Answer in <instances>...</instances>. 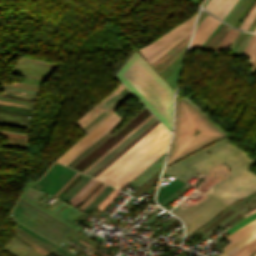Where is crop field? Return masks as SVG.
<instances>
[{
	"mask_svg": "<svg viewBox=\"0 0 256 256\" xmlns=\"http://www.w3.org/2000/svg\"><path fill=\"white\" fill-rule=\"evenodd\" d=\"M116 77L171 130L172 89L136 52Z\"/></svg>",
	"mask_w": 256,
	"mask_h": 256,
	"instance_id": "1",
	"label": "crop field"
},
{
	"mask_svg": "<svg viewBox=\"0 0 256 256\" xmlns=\"http://www.w3.org/2000/svg\"><path fill=\"white\" fill-rule=\"evenodd\" d=\"M224 136L207 116L184 99L176 103L175 132L166 165Z\"/></svg>",
	"mask_w": 256,
	"mask_h": 256,
	"instance_id": "2",
	"label": "crop field"
},
{
	"mask_svg": "<svg viewBox=\"0 0 256 256\" xmlns=\"http://www.w3.org/2000/svg\"><path fill=\"white\" fill-rule=\"evenodd\" d=\"M168 133L159 123L95 178L108 184Z\"/></svg>",
	"mask_w": 256,
	"mask_h": 256,
	"instance_id": "3",
	"label": "crop field"
},
{
	"mask_svg": "<svg viewBox=\"0 0 256 256\" xmlns=\"http://www.w3.org/2000/svg\"><path fill=\"white\" fill-rule=\"evenodd\" d=\"M128 92L129 91L121 84L105 99H103L95 108L91 109L88 114H86L79 122H77V124L84 129ZM131 95L132 94L130 92L126 94L122 99H120L116 104H114L110 109L103 113L99 118H97L84 130L89 132L103 119H105L109 114H111L115 109H117L121 104H123Z\"/></svg>",
	"mask_w": 256,
	"mask_h": 256,
	"instance_id": "4",
	"label": "crop field"
},
{
	"mask_svg": "<svg viewBox=\"0 0 256 256\" xmlns=\"http://www.w3.org/2000/svg\"><path fill=\"white\" fill-rule=\"evenodd\" d=\"M150 114L151 113L144 107L113 136L110 135L106 138L100 145H98L92 152L74 166L73 169L82 172Z\"/></svg>",
	"mask_w": 256,
	"mask_h": 256,
	"instance_id": "5",
	"label": "crop field"
},
{
	"mask_svg": "<svg viewBox=\"0 0 256 256\" xmlns=\"http://www.w3.org/2000/svg\"><path fill=\"white\" fill-rule=\"evenodd\" d=\"M169 136H170V133L167 136H165L161 141H159L155 146H153L149 151H147L143 156H141L130 167H128L124 172H122L118 177H116L112 182H110L109 185H112L118 188L125 181H127L128 179L132 180L135 176H137L140 172H142L154 160H156L164 152H166ZM130 180L125 182L118 189L120 190L128 182H130Z\"/></svg>",
	"mask_w": 256,
	"mask_h": 256,
	"instance_id": "6",
	"label": "crop field"
},
{
	"mask_svg": "<svg viewBox=\"0 0 256 256\" xmlns=\"http://www.w3.org/2000/svg\"><path fill=\"white\" fill-rule=\"evenodd\" d=\"M121 119L122 117L118 116L116 113L113 112L111 115H109L93 130H91L87 136H85L81 141H79L75 146H73L57 161L67 165L73 159H75L78 155H80L85 149H87L92 143H94L97 139H99L103 134H105L110 128H112Z\"/></svg>",
	"mask_w": 256,
	"mask_h": 256,
	"instance_id": "7",
	"label": "crop field"
},
{
	"mask_svg": "<svg viewBox=\"0 0 256 256\" xmlns=\"http://www.w3.org/2000/svg\"><path fill=\"white\" fill-rule=\"evenodd\" d=\"M75 173L63 165L54 164L32 188L54 195Z\"/></svg>",
	"mask_w": 256,
	"mask_h": 256,
	"instance_id": "8",
	"label": "crop field"
},
{
	"mask_svg": "<svg viewBox=\"0 0 256 256\" xmlns=\"http://www.w3.org/2000/svg\"><path fill=\"white\" fill-rule=\"evenodd\" d=\"M196 14L187 19L186 21H184L183 23H181L180 25H178L177 27L173 28L160 38L154 40L152 43L138 50L141 52L145 59H148L157 51H159L162 47H164L166 44L172 41L175 37H177L180 33L186 30L189 26H191L194 23Z\"/></svg>",
	"mask_w": 256,
	"mask_h": 256,
	"instance_id": "9",
	"label": "crop field"
},
{
	"mask_svg": "<svg viewBox=\"0 0 256 256\" xmlns=\"http://www.w3.org/2000/svg\"><path fill=\"white\" fill-rule=\"evenodd\" d=\"M153 115L151 114L149 117H147L143 122H141L135 129H133L129 134H127L122 140H120L115 146H117L121 141H123L127 136H129L132 132H134L138 127H140L144 122H146L150 117ZM156 118L153 116L150 118L146 123H144L140 128H138L134 133H132L128 138H126L123 142H121L117 147L113 146L109 151H111L114 147V149L109 152L107 151L103 156H105L108 152V154L103 157L101 156L97 161H95L91 166H89L83 173H85L88 169H90L96 162H98L102 157V159L96 163L90 170L86 172V174L90 175L94 170H96L102 163H104L108 158H110L114 153H116L121 147H123L128 141H130L135 135H137L141 130H143L147 125H149L153 120Z\"/></svg>",
	"mask_w": 256,
	"mask_h": 256,
	"instance_id": "10",
	"label": "crop field"
},
{
	"mask_svg": "<svg viewBox=\"0 0 256 256\" xmlns=\"http://www.w3.org/2000/svg\"><path fill=\"white\" fill-rule=\"evenodd\" d=\"M219 22V20L208 15L196 27L189 50L199 48V46L204 42V40L209 36V34L213 31V29L218 25Z\"/></svg>",
	"mask_w": 256,
	"mask_h": 256,
	"instance_id": "11",
	"label": "crop field"
},
{
	"mask_svg": "<svg viewBox=\"0 0 256 256\" xmlns=\"http://www.w3.org/2000/svg\"><path fill=\"white\" fill-rule=\"evenodd\" d=\"M189 36L176 44L172 49L152 64L153 68L159 74L185 50Z\"/></svg>",
	"mask_w": 256,
	"mask_h": 256,
	"instance_id": "12",
	"label": "crop field"
},
{
	"mask_svg": "<svg viewBox=\"0 0 256 256\" xmlns=\"http://www.w3.org/2000/svg\"><path fill=\"white\" fill-rule=\"evenodd\" d=\"M159 122L156 119L149 126H147L143 131H141L137 136H135L129 143H127L122 149H120L115 155H113L108 161H106L101 167H99L91 176L95 177L103 169H105L110 163H112L116 158H118L123 152H125L129 147H131L136 141H138L142 136H144L149 130H151Z\"/></svg>",
	"mask_w": 256,
	"mask_h": 256,
	"instance_id": "13",
	"label": "crop field"
},
{
	"mask_svg": "<svg viewBox=\"0 0 256 256\" xmlns=\"http://www.w3.org/2000/svg\"><path fill=\"white\" fill-rule=\"evenodd\" d=\"M185 184L186 183L175 178L171 182L163 186L161 189H159L157 194V201L159 202V204Z\"/></svg>",
	"mask_w": 256,
	"mask_h": 256,
	"instance_id": "14",
	"label": "crop field"
},
{
	"mask_svg": "<svg viewBox=\"0 0 256 256\" xmlns=\"http://www.w3.org/2000/svg\"><path fill=\"white\" fill-rule=\"evenodd\" d=\"M101 182L91 178L84 187L68 201L73 205H78L84 198H86Z\"/></svg>",
	"mask_w": 256,
	"mask_h": 256,
	"instance_id": "15",
	"label": "crop field"
},
{
	"mask_svg": "<svg viewBox=\"0 0 256 256\" xmlns=\"http://www.w3.org/2000/svg\"><path fill=\"white\" fill-rule=\"evenodd\" d=\"M0 133L10 139L9 143L2 142L1 144L26 148L25 147L26 135L15 134V133L6 132V131H0Z\"/></svg>",
	"mask_w": 256,
	"mask_h": 256,
	"instance_id": "16",
	"label": "crop field"
},
{
	"mask_svg": "<svg viewBox=\"0 0 256 256\" xmlns=\"http://www.w3.org/2000/svg\"><path fill=\"white\" fill-rule=\"evenodd\" d=\"M193 25L189 27L186 31H184L182 34H180L177 38H175L172 42H170L168 45H166L164 48H162L159 52H157L155 55H153L151 58L148 59V62L151 64L156 59L161 57L164 53H166L170 48H172L176 43H178L181 39H183L185 36H187Z\"/></svg>",
	"mask_w": 256,
	"mask_h": 256,
	"instance_id": "17",
	"label": "crop field"
},
{
	"mask_svg": "<svg viewBox=\"0 0 256 256\" xmlns=\"http://www.w3.org/2000/svg\"><path fill=\"white\" fill-rule=\"evenodd\" d=\"M31 111H32V109H29V108H23V107L0 104V112H2V113H8V114H15V115L30 117L31 116Z\"/></svg>",
	"mask_w": 256,
	"mask_h": 256,
	"instance_id": "18",
	"label": "crop field"
},
{
	"mask_svg": "<svg viewBox=\"0 0 256 256\" xmlns=\"http://www.w3.org/2000/svg\"><path fill=\"white\" fill-rule=\"evenodd\" d=\"M236 1L237 0H222L212 14L223 19Z\"/></svg>",
	"mask_w": 256,
	"mask_h": 256,
	"instance_id": "19",
	"label": "crop field"
},
{
	"mask_svg": "<svg viewBox=\"0 0 256 256\" xmlns=\"http://www.w3.org/2000/svg\"><path fill=\"white\" fill-rule=\"evenodd\" d=\"M254 228H256V220L252 221L251 223L247 224L246 226L242 227L241 229L237 230L236 232L232 233L227 237L230 241H237L250 231H252Z\"/></svg>",
	"mask_w": 256,
	"mask_h": 256,
	"instance_id": "20",
	"label": "crop field"
},
{
	"mask_svg": "<svg viewBox=\"0 0 256 256\" xmlns=\"http://www.w3.org/2000/svg\"><path fill=\"white\" fill-rule=\"evenodd\" d=\"M244 55L250 58L249 65L252 66L255 58H256V34H253L251 40L249 41L247 47L245 48Z\"/></svg>",
	"mask_w": 256,
	"mask_h": 256,
	"instance_id": "21",
	"label": "crop field"
},
{
	"mask_svg": "<svg viewBox=\"0 0 256 256\" xmlns=\"http://www.w3.org/2000/svg\"><path fill=\"white\" fill-rule=\"evenodd\" d=\"M237 32L238 31L230 28L228 33L225 35V37L223 38L221 43L216 48L215 52L218 53L222 48H225L227 45H229L231 43V41L233 40V38L235 37V35L237 34Z\"/></svg>",
	"mask_w": 256,
	"mask_h": 256,
	"instance_id": "22",
	"label": "crop field"
},
{
	"mask_svg": "<svg viewBox=\"0 0 256 256\" xmlns=\"http://www.w3.org/2000/svg\"><path fill=\"white\" fill-rule=\"evenodd\" d=\"M121 192L118 190H113L98 206L97 209L99 210H103L107 205H109L118 194H120Z\"/></svg>",
	"mask_w": 256,
	"mask_h": 256,
	"instance_id": "23",
	"label": "crop field"
},
{
	"mask_svg": "<svg viewBox=\"0 0 256 256\" xmlns=\"http://www.w3.org/2000/svg\"><path fill=\"white\" fill-rule=\"evenodd\" d=\"M183 60L179 63V65L170 73V75L165 79L169 84L172 85V87H175L176 80L181 68Z\"/></svg>",
	"mask_w": 256,
	"mask_h": 256,
	"instance_id": "24",
	"label": "crop field"
},
{
	"mask_svg": "<svg viewBox=\"0 0 256 256\" xmlns=\"http://www.w3.org/2000/svg\"><path fill=\"white\" fill-rule=\"evenodd\" d=\"M256 16V4L253 7V9L250 11V13L248 14V16L245 18V20L243 21V23L240 25L239 28L241 29H245L247 30V28L249 27V25L251 24V22L253 21V19Z\"/></svg>",
	"mask_w": 256,
	"mask_h": 256,
	"instance_id": "25",
	"label": "crop field"
},
{
	"mask_svg": "<svg viewBox=\"0 0 256 256\" xmlns=\"http://www.w3.org/2000/svg\"><path fill=\"white\" fill-rule=\"evenodd\" d=\"M256 218V213L252 214L250 216H248L247 218H245L244 220H242L241 222H239L238 224L234 225L233 227H231L227 233L231 234L232 232L236 231L237 229L241 228L242 226L246 225L247 223L251 222L252 220H254Z\"/></svg>",
	"mask_w": 256,
	"mask_h": 256,
	"instance_id": "26",
	"label": "crop field"
},
{
	"mask_svg": "<svg viewBox=\"0 0 256 256\" xmlns=\"http://www.w3.org/2000/svg\"><path fill=\"white\" fill-rule=\"evenodd\" d=\"M226 25L222 23V25L218 28V30L215 32V34L211 37V39L208 41V43L205 45L203 49L208 50L212 46V44L215 42L217 37L220 35L222 30L225 28Z\"/></svg>",
	"mask_w": 256,
	"mask_h": 256,
	"instance_id": "27",
	"label": "crop field"
},
{
	"mask_svg": "<svg viewBox=\"0 0 256 256\" xmlns=\"http://www.w3.org/2000/svg\"><path fill=\"white\" fill-rule=\"evenodd\" d=\"M2 85L24 88V89H30V90H36V91H38L39 87H40V86H37V85H30V84H23V83H12V85L2 83Z\"/></svg>",
	"mask_w": 256,
	"mask_h": 256,
	"instance_id": "28",
	"label": "crop field"
},
{
	"mask_svg": "<svg viewBox=\"0 0 256 256\" xmlns=\"http://www.w3.org/2000/svg\"><path fill=\"white\" fill-rule=\"evenodd\" d=\"M82 177L83 175L79 174L57 197L61 199Z\"/></svg>",
	"mask_w": 256,
	"mask_h": 256,
	"instance_id": "29",
	"label": "crop field"
},
{
	"mask_svg": "<svg viewBox=\"0 0 256 256\" xmlns=\"http://www.w3.org/2000/svg\"><path fill=\"white\" fill-rule=\"evenodd\" d=\"M123 119L119 122L121 123ZM119 123H117L110 131H108L104 136H102L98 141H96L91 147H89L85 152H83L79 157H77L75 160H73L70 164L67 166L69 167L72 165L75 161H77L80 157H82L85 153H87L92 147H94L98 142H100L105 136H107Z\"/></svg>",
	"mask_w": 256,
	"mask_h": 256,
	"instance_id": "30",
	"label": "crop field"
},
{
	"mask_svg": "<svg viewBox=\"0 0 256 256\" xmlns=\"http://www.w3.org/2000/svg\"><path fill=\"white\" fill-rule=\"evenodd\" d=\"M19 226H21V229H23V230L29 232L30 234L36 236L37 238H39L40 240L44 241V242L47 243L48 245H50V246H52V247H54V248L57 246V245L53 244L52 242L46 240L45 238L41 237L40 235L34 233L33 231L29 230L28 228H26V227H24V226H22L21 224L18 223V227H19Z\"/></svg>",
	"mask_w": 256,
	"mask_h": 256,
	"instance_id": "31",
	"label": "crop field"
},
{
	"mask_svg": "<svg viewBox=\"0 0 256 256\" xmlns=\"http://www.w3.org/2000/svg\"><path fill=\"white\" fill-rule=\"evenodd\" d=\"M220 2L221 0H209L203 8L212 13Z\"/></svg>",
	"mask_w": 256,
	"mask_h": 256,
	"instance_id": "32",
	"label": "crop field"
},
{
	"mask_svg": "<svg viewBox=\"0 0 256 256\" xmlns=\"http://www.w3.org/2000/svg\"><path fill=\"white\" fill-rule=\"evenodd\" d=\"M0 125L24 128V129H26V127H27V125H24V124H18V123L6 122V121H0Z\"/></svg>",
	"mask_w": 256,
	"mask_h": 256,
	"instance_id": "33",
	"label": "crop field"
},
{
	"mask_svg": "<svg viewBox=\"0 0 256 256\" xmlns=\"http://www.w3.org/2000/svg\"><path fill=\"white\" fill-rule=\"evenodd\" d=\"M256 243V239H254L252 242H250L249 244H247L246 246H244L243 248H241L237 253H235L232 256H240L242 253H244L249 247H251L252 245H254Z\"/></svg>",
	"mask_w": 256,
	"mask_h": 256,
	"instance_id": "34",
	"label": "crop field"
},
{
	"mask_svg": "<svg viewBox=\"0 0 256 256\" xmlns=\"http://www.w3.org/2000/svg\"><path fill=\"white\" fill-rule=\"evenodd\" d=\"M256 251V245L255 246H253V247H251V248H249L243 255H241V256H249V255H251L253 252H255ZM256 256V255H255Z\"/></svg>",
	"mask_w": 256,
	"mask_h": 256,
	"instance_id": "35",
	"label": "crop field"
},
{
	"mask_svg": "<svg viewBox=\"0 0 256 256\" xmlns=\"http://www.w3.org/2000/svg\"><path fill=\"white\" fill-rule=\"evenodd\" d=\"M0 99L9 100V101H15V102H20V103H25V104L32 105V103H30V102H24V101H18V100L6 99V98H0Z\"/></svg>",
	"mask_w": 256,
	"mask_h": 256,
	"instance_id": "36",
	"label": "crop field"
},
{
	"mask_svg": "<svg viewBox=\"0 0 256 256\" xmlns=\"http://www.w3.org/2000/svg\"><path fill=\"white\" fill-rule=\"evenodd\" d=\"M56 249L59 250L60 252L64 253V254H66L67 256H74V255H72V254H70V253H68V252H66V251H64V250H62V249L59 248L58 246H57Z\"/></svg>",
	"mask_w": 256,
	"mask_h": 256,
	"instance_id": "37",
	"label": "crop field"
},
{
	"mask_svg": "<svg viewBox=\"0 0 256 256\" xmlns=\"http://www.w3.org/2000/svg\"><path fill=\"white\" fill-rule=\"evenodd\" d=\"M20 200H22V199H20ZM23 201V200H22ZM25 202V201H24ZM26 204V203H25ZM28 204V203H27ZM30 205V204H29ZM30 206H32V205H30ZM33 207V206H32ZM35 208V207H34ZM36 210H38V211H40L41 213H43V214H45V215H47L46 213H44V212H42L41 210H39V209H37V208H35ZM47 216H49V215H47ZM49 217H51V216H49ZM52 218V217H51ZM54 219V218H53ZM54 220H56V219H54ZM57 221V220H56ZM59 222V221H58ZM61 223V222H60ZM59 223V224H60ZM62 224V223H61ZM64 225V224H63ZM64 226H66V225H64ZM67 227V226H66ZM69 228V227H68ZM69 229H71V228H69Z\"/></svg>",
	"mask_w": 256,
	"mask_h": 256,
	"instance_id": "38",
	"label": "crop field"
},
{
	"mask_svg": "<svg viewBox=\"0 0 256 256\" xmlns=\"http://www.w3.org/2000/svg\"><path fill=\"white\" fill-rule=\"evenodd\" d=\"M222 22H220L221 24ZM220 24L216 27V29L212 32V34L209 36V38L205 41V43L202 45V47L200 49L203 48V46L206 44V42L210 39V37L213 35V33L217 30V28L220 26ZM222 25V24H221Z\"/></svg>",
	"mask_w": 256,
	"mask_h": 256,
	"instance_id": "39",
	"label": "crop field"
},
{
	"mask_svg": "<svg viewBox=\"0 0 256 256\" xmlns=\"http://www.w3.org/2000/svg\"><path fill=\"white\" fill-rule=\"evenodd\" d=\"M78 174V172L73 176V178ZM73 178L62 188L60 189L54 196H56L61 190H63L72 180Z\"/></svg>",
	"mask_w": 256,
	"mask_h": 256,
	"instance_id": "40",
	"label": "crop field"
},
{
	"mask_svg": "<svg viewBox=\"0 0 256 256\" xmlns=\"http://www.w3.org/2000/svg\"><path fill=\"white\" fill-rule=\"evenodd\" d=\"M254 212H256V209H254V210H252V211H250V212H248V213H246V214H244L245 216H248V215H250V214H252V213H254Z\"/></svg>",
	"mask_w": 256,
	"mask_h": 256,
	"instance_id": "41",
	"label": "crop field"
},
{
	"mask_svg": "<svg viewBox=\"0 0 256 256\" xmlns=\"http://www.w3.org/2000/svg\"><path fill=\"white\" fill-rule=\"evenodd\" d=\"M255 65H256V61H255L254 64H253V67H252V69H251V72H252L253 68L255 67ZM251 72H250V73H251Z\"/></svg>",
	"mask_w": 256,
	"mask_h": 256,
	"instance_id": "42",
	"label": "crop field"
},
{
	"mask_svg": "<svg viewBox=\"0 0 256 256\" xmlns=\"http://www.w3.org/2000/svg\"><path fill=\"white\" fill-rule=\"evenodd\" d=\"M180 239H182V237H181V238H179V239H177L175 242H177V241H178V240H180ZM175 242H173V243H175ZM173 243H172V244H173Z\"/></svg>",
	"mask_w": 256,
	"mask_h": 256,
	"instance_id": "43",
	"label": "crop field"
},
{
	"mask_svg": "<svg viewBox=\"0 0 256 256\" xmlns=\"http://www.w3.org/2000/svg\"><path fill=\"white\" fill-rule=\"evenodd\" d=\"M97 207H98V206H97ZM97 207H96V208H97ZM96 208H95V209H96ZM95 209H94V210H95ZM94 210H93V211H94ZM93 211L90 213V215L93 213Z\"/></svg>",
	"mask_w": 256,
	"mask_h": 256,
	"instance_id": "44",
	"label": "crop field"
},
{
	"mask_svg": "<svg viewBox=\"0 0 256 256\" xmlns=\"http://www.w3.org/2000/svg\"><path fill=\"white\" fill-rule=\"evenodd\" d=\"M255 32H256V29H255Z\"/></svg>",
	"mask_w": 256,
	"mask_h": 256,
	"instance_id": "45",
	"label": "crop field"
}]
</instances>
